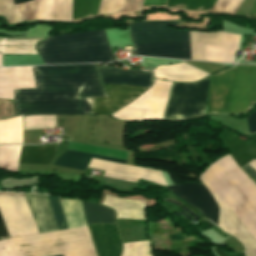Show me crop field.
Here are the masks:
<instances>
[{"label":"crop field","instance_id":"crop-field-30","mask_svg":"<svg viewBox=\"0 0 256 256\" xmlns=\"http://www.w3.org/2000/svg\"><path fill=\"white\" fill-rule=\"evenodd\" d=\"M0 15L10 22L25 20L23 4L13 6L12 0H0Z\"/></svg>","mask_w":256,"mask_h":256},{"label":"crop field","instance_id":"crop-field-44","mask_svg":"<svg viewBox=\"0 0 256 256\" xmlns=\"http://www.w3.org/2000/svg\"><path fill=\"white\" fill-rule=\"evenodd\" d=\"M58 256H61V255H58Z\"/></svg>","mask_w":256,"mask_h":256},{"label":"crop field","instance_id":"crop-field-28","mask_svg":"<svg viewBox=\"0 0 256 256\" xmlns=\"http://www.w3.org/2000/svg\"><path fill=\"white\" fill-rule=\"evenodd\" d=\"M21 146L22 145L0 146V168L17 172Z\"/></svg>","mask_w":256,"mask_h":256},{"label":"crop field","instance_id":"crop-field-6","mask_svg":"<svg viewBox=\"0 0 256 256\" xmlns=\"http://www.w3.org/2000/svg\"><path fill=\"white\" fill-rule=\"evenodd\" d=\"M103 84L149 87L151 69H98ZM104 85L108 98H95L92 114L110 115L127 105L147 88Z\"/></svg>","mask_w":256,"mask_h":256},{"label":"crop field","instance_id":"crop-field-5","mask_svg":"<svg viewBox=\"0 0 256 256\" xmlns=\"http://www.w3.org/2000/svg\"><path fill=\"white\" fill-rule=\"evenodd\" d=\"M20 256H52L92 248L88 228H78L46 234L9 239ZM63 256H96L94 250Z\"/></svg>","mask_w":256,"mask_h":256},{"label":"crop field","instance_id":"crop-field-35","mask_svg":"<svg viewBox=\"0 0 256 256\" xmlns=\"http://www.w3.org/2000/svg\"><path fill=\"white\" fill-rule=\"evenodd\" d=\"M0 256H18L7 239L0 240Z\"/></svg>","mask_w":256,"mask_h":256},{"label":"crop field","instance_id":"crop-field-22","mask_svg":"<svg viewBox=\"0 0 256 256\" xmlns=\"http://www.w3.org/2000/svg\"><path fill=\"white\" fill-rule=\"evenodd\" d=\"M239 38L238 35L222 32L221 46L205 45L207 61L233 63Z\"/></svg>","mask_w":256,"mask_h":256},{"label":"crop field","instance_id":"crop-field-37","mask_svg":"<svg viewBox=\"0 0 256 256\" xmlns=\"http://www.w3.org/2000/svg\"><path fill=\"white\" fill-rule=\"evenodd\" d=\"M166 0H145L143 6L165 5Z\"/></svg>","mask_w":256,"mask_h":256},{"label":"crop field","instance_id":"crop-field-40","mask_svg":"<svg viewBox=\"0 0 256 256\" xmlns=\"http://www.w3.org/2000/svg\"><path fill=\"white\" fill-rule=\"evenodd\" d=\"M216 253L219 255V256H245V253H240V254H230V253H227V252H223V251H220V250H216Z\"/></svg>","mask_w":256,"mask_h":256},{"label":"crop field","instance_id":"crop-field-38","mask_svg":"<svg viewBox=\"0 0 256 256\" xmlns=\"http://www.w3.org/2000/svg\"><path fill=\"white\" fill-rule=\"evenodd\" d=\"M9 237L7 234V231L5 229L4 223L2 221V218L0 216V239Z\"/></svg>","mask_w":256,"mask_h":256},{"label":"crop field","instance_id":"crop-field-15","mask_svg":"<svg viewBox=\"0 0 256 256\" xmlns=\"http://www.w3.org/2000/svg\"><path fill=\"white\" fill-rule=\"evenodd\" d=\"M88 226L98 256H120L122 244L116 224Z\"/></svg>","mask_w":256,"mask_h":256},{"label":"crop field","instance_id":"crop-field-24","mask_svg":"<svg viewBox=\"0 0 256 256\" xmlns=\"http://www.w3.org/2000/svg\"><path fill=\"white\" fill-rule=\"evenodd\" d=\"M91 157L125 163L124 161L113 160L66 150V152L55 161L54 165L85 171Z\"/></svg>","mask_w":256,"mask_h":256},{"label":"crop field","instance_id":"crop-field-20","mask_svg":"<svg viewBox=\"0 0 256 256\" xmlns=\"http://www.w3.org/2000/svg\"><path fill=\"white\" fill-rule=\"evenodd\" d=\"M153 72L157 78L184 82L195 81L208 75L185 63L159 66Z\"/></svg>","mask_w":256,"mask_h":256},{"label":"crop field","instance_id":"crop-field-43","mask_svg":"<svg viewBox=\"0 0 256 256\" xmlns=\"http://www.w3.org/2000/svg\"><path fill=\"white\" fill-rule=\"evenodd\" d=\"M0 66H1V54H0Z\"/></svg>","mask_w":256,"mask_h":256},{"label":"crop field","instance_id":"crop-field-1","mask_svg":"<svg viewBox=\"0 0 256 256\" xmlns=\"http://www.w3.org/2000/svg\"><path fill=\"white\" fill-rule=\"evenodd\" d=\"M36 89L14 90L16 115L90 114L105 96L96 65L34 66Z\"/></svg>","mask_w":256,"mask_h":256},{"label":"crop field","instance_id":"crop-field-25","mask_svg":"<svg viewBox=\"0 0 256 256\" xmlns=\"http://www.w3.org/2000/svg\"><path fill=\"white\" fill-rule=\"evenodd\" d=\"M55 147L22 148L19 163L50 164L55 156Z\"/></svg>","mask_w":256,"mask_h":256},{"label":"crop field","instance_id":"crop-field-12","mask_svg":"<svg viewBox=\"0 0 256 256\" xmlns=\"http://www.w3.org/2000/svg\"><path fill=\"white\" fill-rule=\"evenodd\" d=\"M90 168L105 171V177L122 179L127 181L137 182L139 178L152 181L159 185H167L161 172L140 169L135 166L123 165L109 161L92 158L89 166Z\"/></svg>","mask_w":256,"mask_h":256},{"label":"crop field","instance_id":"crop-field-9","mask_svg":"<svg viewBox=\"0 0 256 256\" xmlns=\"http://www.w3.org/2000/svg\"><path fill=\"white\" fill-rule=\"evenodd\" d=\"M180 21H142L128 23L133 45L154 43L190 42L189 31L172 30L166 26H175Z\"/></svg>","mask_w":256,"mask_h":256},{"label":"crop field","instance_id":"crop-field-31","mask_svg":"<svg viewBox=\"0 0 256 256\" xmlns=\"http://www.w3.org/2000/svg\"><path fill=\"white\" fill-rule=\"evenodd\" d=\"M122 256H153L147 241L124 244Z\"/></svg>","mask_w":256,"mask_h":256},{"label":"crop field","instance_id":"crop-field-32","mask_svg":"<svg viewBox=\"0 0 256 256\" xmlns=\"http://www.w3.org/2000/svg\"><path fill=\"white\" fill-rule=\"evenodd\" d=\"M144 111L142 109L124 107L111 115L117 119L125 121H142Z\"/></svg>","mask_w":256,"mask_h":256},{"label":"crop field","instance_id":"crop-field-34","mask_svg":"<svg viewBox=\"0 0 256 256\" xmlns=\"http://www.w3.org/2000/svg\"><path fill=\"white\" fill-rule=\"evenodd\" d=\"M242 0H217L212 10L235 13Z\"/></svg>","mask_w":256,"mask_h":256},{"label":"crop field","instance_id":"crop-field-14","mask_svg":"<svg viewBox=\"0 0 256 256\" xmlns=\"http://www.w3.org/2000/svg\"><path fill=\"white\" fill-rule=\"evenodd\" d=\"M72 0H33L25 3L27 20L71 21Z\"/></svg>","mask_w":256,"mask_h":256},{"label":"crop field","instance_id":"crop-field-2","mask_svg":"<svg viewBox=\"0 0 256 256\" xmlns=\"http://www.w3.org/2000/svg\"><path fill=\"white\" fill-rule=\"evenodd\" d=\"M231 157L230 154L213 163L210 167L220 163L221 161ZM209 167V168H210ZM207 168L219 179L224 174L237 186L240 187L243 194L248 198L252 205L256 208V184L239 168L235 161L231 158L221 162L220 164ZM201 175V181L210 190L220 208L229 207L247 230L256 239V212L246 199L242 196L234 184L225 176L221 180H217L208 170Z\"/></svg>","mask_w":256,"mask_h":256},{"label":"crop field","instance_id":"crop-field-23","mask_svg":"<svg viewBox=\"0 0 256 256\" xmlns=\"http://www.w3.org/2000/svg\"><path fill=\"white\" fill-rule=\"evenodd\" d=\"M221 32L190 31L192 59L206 61L204 44L220 45Z\"/></svg>","mask_w":256,"mask_h":256},{"label":"crop field","instance_id":"crop-field-26","mask_svg":"<svg viewBox=\"0 0 256 256\" xmlns=\"http://www.w3.org/2000/svg\"><path fill=\"white\" fill-rule=\"evenodd\" d=\"M22 143L21 115L0 120V144Z\"/></svg>","mask_w":256,"mask_h":256},{"label":"crop field","instance_id":"crop-field-29","mask_svg":"<svg viewBox=\"0 0 256 256\" xmlns=\"http://www.w3.org/2000/svg\"><path fill=\"white\" fill-rule=\"evenodd\" d=\"M216 0H167L166 6L187 10H211Z\"/></svg>","mask_w":256,"mask_h":256},{"label":"crop field","instance_id":"crop-field-33","mask_svg":"<svg viewBox=\"0 0 256 256\" xmlns=\"http://www.w3.org/2000/svg\"><path fill=\"white\" fill-rule=\"evenodd\" d=\"M49 196V195H48ZM50 203L54 212V216L57 222V226L59 230L68 229L66 225V221L61 209V205L58 198L49 196Z\"/></svg>","mask_w":256,"mask_h":256},{"label":"crop field","instance_id":"crop-field-21","mask_svg":"<svg viewBox=\"0 0 256 256\" xmlns=\"http://www.w3.org/2000/svg\"><path fill=\"white\" fill-rule=\"evenodd\" d=\"M136 55L191 59L190 43L134 46Z\"/></svg>","mask_w":256,"mask_h":256},{"label":"crop field","instance_id":"crop-field-39","mask_svg":"<svg viewBox=\"0 0 256 256\" xmlns=\"http://www.w3.org/2000/svg\"><path fill=\"white\" fill-rule=\"evenodd\" d=\"M241 169L244 170L247 174H249L250 176H252L253 178L256 179V171L253 170L250 166H248V165L246 164V165L243 166Z\"/></svg>","mask_w":256,"mask_h":256},{"label":"crop field","instance_id":"crop-field-4","mask_svg":"<svg viewBox=\"0 0 256 256\" xmlns=\"http://www.w3.org/2000/svg\"><path fill=\"white\" fill-rule=\"evenodd\" d=\"M48 37L37 44L44 64L114 61L103 30Z\"/></svg>","mask_w":256,"mask_h":256},{"label":"crop field","instance_id":"crop-field-36","mask_svg":"<svg viewBox=\"0 0 256 256\" xmlns=\"http://www.w3.org/2000/svg\"><path fill=\"white\" fill-rule=\"evenodd\" d=\"M247 124L249 128V132H256V110L252 112L247 118Z\"/></svg>","mask_w":256,"mask_h":256},{"label":"crop field","instance_id":"crop-field-7","mask_svg":"<svg viewBox=\"0 0 256 256\" xmlns=\"http://www.w3.org/2000/svg\"><path fill=\"white\" fill-rule=\"evenodd\" d=\"M209 77L197 83H174L164 119L203 115Z\"/></svg>","mask_w":256,"mask_h":256},{"label":"crop field","instance_id":"crop-field-13","mask_svg":"<svg viewBox=\"0 0 256 256\" xmlns=\"http://www.w3.org/2000/svg\"><path fill=\"white\" fill-rule=\"evenodd\" d=\"M171 83L155 79V84L149 90L127 106L146 109L143 120L161 119Z\"/></svg>","mask_w":256,"mask_h":256},{"label":"crop field","instance_id":"crop-field-17","mask_svg":"<svg viewBox=\"0 0 256 256\" xmlns=\"http://www.w3.org/2000/svg\"><path fill=\"white\" fill-rule=\"evenodd\" d=\"M220 227L236 236L246 247V256H256V241L230 211L229 208L220 210Z\"/></svg>","mask_w":256,"mask_h":256},{"label":"crop field","instance_id":"crop-field-16","mask_svg":"<svg viewBox=\"0 0 256 256\" xmlns=\"http://www.w3.org/2000/svg\"><path fill=\"white\" fill-rule=\"evenodd\" d=\"M33 81L31 67L0 68V82ZM35 88L34 82L0 83V98L13 99V89Z\"/></svg>","mask_w":256,"mask_h":256},{"label":"crop field","instance_id":"crop-field-10","mask_svg":"<svg viewBox=\"0 0 256 256\" xmlns=\"http://www.w3.org/2000/svg\"><path fill=\"white\" fill-rule=\"evenodd\" d=\"M165 188L218 225L217 204L203 185L185 183Z\"/></svg>","mask_w":256,"mask_h":256},{"label":"crop field","instance_id":"crop-field-27","mask_svg":"<svg viewBox=\"0 0 256 256\" xmlns=\"http://www.w3.org/2000/svg\"><path fill=\"white\" fill-rule=\"evenodd\" d=\"M88 224L116 223L114 211L90 202H83Z\"/></svg>","mask_w":256,"mask_h":256},{"label":"crop field","instance_id":"crop-field-8","mask_svg":"<svg viewBox=\"0 0 256 256\" xmlns=\"http://www.w3.org/2000/svg\"><path fill=\"white\" fill-rule=\"evenodd\" d=\"M0 212L10 237L38 233L23 193L0 192Z\"/></svg>","mask_w":256,"mask_h":256},{"label":"crop field","instance_id":"crop-field-11","mask_svg":"<svg viewBox=\"0 0 256 256\" xmlns=\"http://www.w3.org/2000/svg\"><path fill=\"white\" fill-rule=\"evenodd\" d=\"M101 0H73L72 20L96 14ZM142 0H102L96 15L139 11Z\"/></svg>","mask_w":256,"mask_h":256},{"label":"crop field","instance_id":"crop-field-41","mask_svg":"<svg viewBox=\"0 0 256 256\" xmlns=\"http://www.w3.org/2000/svg\"><path fill=\"white\" fill-rule=\"evenodd\" d=\"M247 17L256 19V2L254 4V6L252 7V9L250 10Z\"/></svg>","mask_w":256,"mask_h":256},{"label":"crop field","instance_id":"crop-field-19","mask_svg":"<svg viewBox=\"0 0 256 256\" xmlns=\"http://www.w3.org/2000/svg\"><path fill=\"white\" fill-rule=\"evenodd\" d=\"M30 195L32 197L33 203H34L35 208L37 210V213H38V216H39L40 221L42 223L44 231L45 232H50V231H55V230L57 231L58 229H57L56 222H55V219H54V216H53V213H52V209H51V206H50V203H49L48 196L47 195H41L42 198H43V201L45 203V206L47 208V211H48V213L50 215V218L52 220V223L54 225L55 230L53 228V225H52L51 220L49 218V215H48V213L46 211V208L44 206V203L42 201L41 196L40 195H36V194H30ZM30 195L29 194H25L26 199H27L28 204H29V207H30L31 212L33 214V217L35 219L36 225L38 227V230H39L40 233H42L44 231L42 229L41 223H40L39 218L37 216V213H36V210H35L34 205L32 203Z\"/></svg>","mask_w":256,"mask_h":256},{"label":"crop field","instance_id":"crop-field-18","mask_svg":"<svg viewBox=\"0 0 256 256\" xmlns=\"http://www.w3.org/2000/svg\"><path fill=\"white\" fill-rule=\"evenodd\" d=\"M102 204L113 208L117 213V219L145 220V201L119 199L106 195Z\"/></svg>","mask_w":256,"mask_h":256},{"label":"crop field","instance_id":"crop-field-3","mask_svg":"<svg viewBox=\"0 0 256 256\" xmlns=\"http://www.w3.org/2000/svg\"><path fill=\"white\" fill-rule=\"evenodd\" d=\"M256 102V66L237 65L211 77L206 114L246 112Z\"/></svg>","mask_w":256,"mask_h":256},{"label":"crop field","instance_id":"crop-field-42","mask_svg":"<svg viewBox=\"0 0 256 256\" xmlns=\"http://www.w3.org/2000/svg\"><path fill=\"white\" fill-rule=\"evenodd\" d=\"M25 1H29V0H14V3L17 4V3H21V2H25Z\"/></svg>","mask_w":256,"mask_h":256},{"label":"crop field","instance_id":"crop-field-45","mask_svg":"<svg viewBox=\"0 0 256 256\" xmlns=\"http://www.w3.org/2000/svg\"><path fill=\"white\" fill-rule=\"evenodd\" d=\"M34 130V129H33Z\"/></svg>","mask_w":256,"mask_h":256}]
</instances>
